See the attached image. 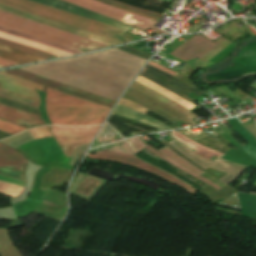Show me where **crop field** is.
<instances>
[{"label":"crop field","mask_w":256,"mask_h":256,"mask_svg":"<svg viewBox=\"0 0 256 256\" xmlns=\"http://www.w3.org/2000/svg\"><path fill=\"white\" fill-rule=\"evenodd\" d=\"M45 110L51 124H101L110 108L47 88Z\"/></svg>","instance_id":"1"},{"label":"crop field","mask_w":256,"mask_h":256,"mask_svg":"<svg viewBox=\"0 0 256 256\" xmlns=\"http://www.w3.org/2000/svg\"><path fill=\"white\" fill-rule=\"evenodd\" d=\"M0 3L22 11L38 15L46 19L77 27L120 43L132 40L122 36L124 31L103 24H99L84 18H80L74 15H70L64 12H60L48 7H44L26 0H0Z\"/></svg>","instance_id":"2"},{"label":"crop field","mask_w":256,"mask_h":256,"mask_svg":"<svg viewBox=\"0 0 256 256\" xmlns=\"http://www.w3.org/2000/svg\"><path fill=\"white\" fill-rule=\"evenodd\" d=\"M0 26L10 28L32 36H36L51 42L66 45L83 52L109 47L95 41L79 37L64 31H60L48 26H44L35 22L24 20L1 11Z\"/></svg>","instance_id":"3"},{"label":"crop field","mask_w":256,"mask_h":256,"mask_svg":"<svg viewBox=\"0 0 256 256\" xmlns=\"http://www.w3.org/2000/svg\"><path fill=\"white\" fill-rule=\"evenodd\" d=\"M231 43L232 42L222 37L213 43L201 36L195 35L179 45L169 54L184 61L198 57L207 62Z\"/></svg>","instance_id":"4"},{"label":"crop field","mask_w":256,"mask_h":256,"mask_svg":"<svg viewBox=\"0 0 256 256\" xmlns=\"http://www.w3.org/2000/svg\"><path fill=\"white\" fill-rule=\"evenodd\" d=\"M64 1L75 4L85 9L92 10L94 12L100 13L102 15L108 16L110 18L116 19L118 21H121L123 23L129 24L131 26H134L143 30L152 28L163 34H167L166 32L153 28V26L157 23V21L120 10L94 0H64Z\"/></svg>","instance_id":"5"},{"label":"crop field","mask_w":256,"mask_h":256,"mask_svg":"<svg viewBox=\"0 0 256 256\" xmlns=\"http://www.w3.org/2000/svg\"><path fill=\"white\" fill-rule=\"evenodd\" d=\"M100 126L59 127L52 126L53 136L66 155H72L74 149L81 144L90 143Z\"/></svg>","instance_id":"6"},{"label":"crop field","mask_w":256,"mask_h":256,"mask_svg":"<svg viewBox=\"0 0 256 256\" xmlns=\"http://www.w3.org/2000/svg\"><path fill=\"white\" fill-rule=\"evenodd\" d=\"M166 134L173 139L172 141L169 142V144H171L174 148H176L180 153H182L187 158L191 159L192 161H194L195 163H197L198 165L202 166L205 169L210 167V168L227 173L226 175L218 179L226 185H228L234 179H236L246 167L245 165H239V164H234V163L224 161L215 156L210 161H208L196 155L195 153L191 152L190 150H188L180 142H178L174 137H172L168 132H166Z\"/></svg>","instance_id":"7"},{"label":"crop field","mask_w":256,"mask_h":256,"mask_svg":"<svg viewBox=\"0 0 256 256\" xmlns=\"http://www.w3.org/2000/svg\"><path fill=\"white\" fill-rule=\"evenodd\" d=\"M2 72L42 84V85H44V89H43L44 92L46 90V87H48V88H51V89H54V90H57L60 92H64V93H67V94H70V95H73V96H76V97H79V98H82V99H85V100H88V101H91L94 103H98V104L110 107V108H112V106L114 104V101H111V100H108V99H105L102 97H98V96H95V95H92V94H89V93H86L83 91H79V90H76L69 86H66V85L33 75V74H30V73H27V72H24V71H21L18 69L6 70V71H2Z\"/></svg>","instance_id":"8"},{"label":"crop field","mask_w":256,"mask_h":256,"mask_svg":"<svg viewBox=\"0 0 256 256\" xmlns=\"http://www.w3.org/2000/svg\"><path fill=\"white\" fill-rule=\"evenodd\" d=\"M123 98L130 100L134 103H137V104L165 117L166 119H168L174 123L181 120L190 126L196 125L192 121L188 120L187 118L183 117L182 115L178 114L177 112L173 111L172 109L168 108L167 106L163 105L162 103L156 101L155 99L149 97L148 95L142 93L141 91H139L131 86L128 89V91L125 93Z\"/></svg>","instance_id":"9"},{"label":"crop field","mask_w":256,"mask_h":256,"mask_svg":"<svg viewBox=\"0 0 256 256\" xmlns=\"http://www.w3.org/2000/svg\"><path fill=\"white\" fill-rule=\"evenodd\" d=\"M28 160L16 151L0 144V175L25 182Z\"/></svg>","instance_id":"10"},{"label":"crop field","mask_w":256,"mask_h":256,"mask_svg":"<svg viewBox=\"0 0 256 256\" xmlns=\"http://www.w3.org/2000/svg\"><path fill=\"white\" fill-rule=\"evenodd\" d=\"M89 157L91 158H98V159H105V160H110V161H115V162H120V163H124V164H129L132 166H136V167H140L146 171H149L155 175H158L180 187H182L183 189H185L187 192H189L190 194H195V190H193L191 187H189L187 184H185L184 182L176 179L175 177H173L172 175L159 170L155 167H152L140 160H138L135 156H127V155H116V154H91L89 155ZM139 168V169H140Z\"/></svg>","instance_id":"11"},{"label":"crop field","mask_w":256,"mask_h":256,"mask_svg":"<svg viewBox=\"0 0 256 256\" xmlns=\"http://www.w3.org/2000/svg\"><path fill=\"white\" fill-rule=\"evenodd\" d=\"M0 10L4 11V12H7L9 14L24 18V19L35 21V22H38V23H41V24H45V25H48V26H51V27H54V28H57V29H61V30L79 35V36H83V37L95 40V41L100 42V43L105 44V45L112 46V45L120 44V43L114 42L112 40L94 35L92 33H89V32H86V31H83V30H80V29H76V28H73V27H70V26H66V25H63V24H60V23H56V22H53V21H50V20H46V19L37 17L35 15L25 13V12H21V11L12 9L10 7H7V6L1 5V4H0Z\"/></svg>","instance_id":"12"},{"label":"crop field","mask_w":256,"mask_h":256,"mask_svg":"<svg viewBox=\"0 0 256 256\" xmlns=\"http://www.w3.org/2000/svg\"><path fill=\"white\" fill-rule=\"evenodd\" d=\"M32 1H34L36 3H41L46 6H50L52 8H56V9H59L62 11H66V12L72 13L74 15H79V16H83L85 18H90V19L105 23L109 26H112V27H115V28H118L121 30L128 31L131 28V26L108 19V18L101 16L97 13L79 8L77 6L68 4V3L60 1V0H32Z\"/></svg>","instance_id":"13"},{"label":"crop field","mask_w":256,"mask_h":256,"mask_svg":"<svg viewBox=\"0 0 256 256\" xmlns=\"http://www.w3.org/2000/svg\"><path fill=\"white\" fill-rule=\"evenodd\" d=\"M33 88L42 91L43 86L0 72V89L40 101L38 93Z\"/></svg>","instance_id":"14"},{"label":"crop field","mask_w":256,"mask_h":256,"mask_svg":"<svg viewBox=\"0 0 256 256\" xmlns=\"http://www.w3.org/2000/svg\"><path fill=\"white\" fill-rule=\"evenodd\" d=\"M145 148H147L148 150H150L151 152H153L154 154H156L157 156H159L160 158H162L163 160H165L169 164H171V165L189 173L190 175L194 176L195 178L212 185L213 187H215L218 190L222 189L219 186H217L215 183H213L212 181L200 176L199 174L202 173L203 171L197 169L196 167L192 166L191 164H189V163L185 162L184 160L180 159L177 155H175L166 146L163 147L159 151L154 149L153 147H151L149 145H147Z\"/></svg>","instance_id":"15"},{"label":"crop field","mask_w":256,"mask_h":256,"mask_svg":"<svg viewBox=\"0 0 256 256\" xmlns=\"http://www.w3.org/2000/svg\"><path fill=\"white\" fill-rule=\"evenodd\" d=\"M0 119L15 123L27 128L40 126V125H49L42 117L35 116L23 111L16 109L8 108L0 105Z\"/></svg>","instance_id":"16"},{"label":"crop field","mask_w":256,"mask_h":256,"mask_svg":"<svg viewBox=\"0 0 256 256\" xmlns=\"http://www.w3.org/2000/svg\"><path fill=\"white\" fill-rule=\"evenodd\" d=\"M131 86L147 93L151 97L157 99L158 101L162 102L163 104L167 105L168 107L172 108L173 110L177 111L178 113L182 114L183 116L187 117L190 120L197 117L194 114H192L191 112H189L188 110L184 109L183 107H181L180 105L175 103L174 101L168 99L167 97L153 91L152 89H150L136 81H134Z\"/></svg>","instance_id":"17"},{"label":"crop field","mask_w":256,"mask_h":256,"mask_svg":"<svg viewBox=\"0 0 256 256\" xmlns=\"http://www.w3.org/2000/svg\"><path fill=\"white\" fill-rule=\"evenodd\" d=\"M113 113L121 115V116L129 117V118H132L134 120L141 121L143 123H146L148 125H151L153 127L161 129V130L171 129L170 127H168L167 125H165L161 122H158V121H156V120H154L150 117L144 116V115H142L138 112H135L133 110H130V109H128L126 107H123L121 105H118V104H117L116 108L114 109Z\"/></svg>","instance_id":"18"},{"label":"crop field","mask_w":256,"mask_h":256,"mask_svg":"<svg viewBox=\"0 0 256 256\" xmlns=\"http://www.w3.org/2000/svg\"><path fill=\"white\" fill-rule=\"evenodd\" d=\"M171 135H173L177 140H179L183 145H185L188 149L192 150L193 152L207 158V159H211L213 157V155L221 158L223 156V154L217 153L213 150H210L204 146H201L189 139H187L186 137H184L182 134L174 131V132H169Z\"/></svg>","instance_id":"19"},{"label":"crop field","mask_w":256,"mask_h":256,"mask_svg":"<svg viewBox=\"0 0 256 256\" xmlns=\"http://www.w3.org/2000/svg\"><path fill=\"white\" fill-rule=\"evenodd\" d=\"M136 81H138V82H140V83H142V84H145V85H147L148 87L152 88L153 90H155V91H157V92H159V93H161V94H163V95H165V96H167V97L173 99V100L176 101L178 104H180L181 106H183V107L189 109L190 111L195 108L194 105L190 104V103L187 102L186 100H184V99H182V98H180V97L174 95L173 93H171V92L165 90L164 88H162V87H160V86H158V85H156V84H154V83H152V82H150V81H148V80H146V79H144V78H142V77H140V76L137 77Z\"/></svg>","instance_id":"20"},{"label":"crop field","mask_w":256,"mask_h":256,"mask_svg":"<svg viewBox=\"0 0 256 256\" xmlns=\"http://www.w3.org/2000/svg\"><path fill=\"white\" fill-rule=\"evenodd\" d=\"M0 37L11 40V41H15V42H18V43H21V44H24V45H28V46H31V47H34V48H37L39 50L57 55L59 57L72 55L70 53H66V52H63V51H60V50H56V49H53V48H50V47H47V46H44V45H41V44H38V43H34V42H31V41H28V40H25V39H22V38H18V37H14V36H11V35H7V34H4V33H0Z\"/></svg>","instance_id":"21"},{"label":"crop field","mask_w":256,"mask_h":256,"mask_svg":"<svg viewBox=\"0 0 256 256\" xmlns=\"http://www.w3.org/2000/svg\"><path fill=\"white\" fill-rule=\"evenodd\" d=\"M1 256H21L18 248L14 249L7 230H0Z\"/></svg>","instance_id":"22"},{"label":"crop field","mask_w":256,"mask_h":256,"mask_svg":"<svg viewBox=\"0 0 256 256\" xmlns=\"http://www.w3.org/2000/svg\"><path fill=\"white\" fill-rule=\"evenodd\" d=\"M0 32L20 36V37H23V38H26V39H29V40H32V41H35V42L53 47V48H57V49H60V50L66 51V52L73 53V54L82 53L80 51H77V50L69 48V47H65V46H61V45L54 44V43H51V42H47V41H44L42 39L32 37V36H29V35H26V34H22V33H19V32L13 31V30H9V29L3 28V27H0Z\"/></svg>","instance_id":"23"},{"label":"crop field","mask_w":256,"mask_h":256,"mask_svg":"<svg viewBox=\"0 0 256 256\" xmlns=\"http://www.w3.org/2000/svg\"><path fill=\"white\" fill-rule=\"evenodd\" d=\"M0 43L4 44V45L11 46V47H14V48H17L19 50L25 51L27 53H30V54H33V55H36V56H39V57H42V58H45V59L57 58L54 55L39 51L37 49L31 48V47H28V46H24V45H21V44H18V43H14V42H11V41H8V40H5V39L0 38Z\"/></svg>","instance_id":"24"},{"label":"crop field","mask_w":256,"mask_h":256,"mask_svg":"<svg viewBox=\"0 0 256 256\" xmlns=\"http://www.w3.org/2000/svg\"><path fill=\"white\" fill-rule=\"evenodd\" d=\"M33 139H34V137L31 135L29 130H27L25 132L15 135V136L1 140L0 142L5 143L6 145H8L12 148H15V147H18L28 141L33 140Z\"/></svg>","instance_id":"25"},{"label":"crop field","mask_w":256,"mask_h":256,"mask_svg":"<svg viewBox=\"0 0 256 256\" xmlns=\"http://www.w3.org/2000/svg\"><path fill=\"white\" fill-rule=\"evenodd\" d=\"M145 68H147V69H149V70H151V71H153V72H155V73H157V74H159V75L169 79L170 81H172V82H174V83L184 87L185 89H187L190 92H193V93H195V94H197L199 96L202 95V92L196 90L197 88L195 89V88L189 86L188 84H186V83H184V82H182V81H180V80H178V79H176V78H174V77H172V76H170V75H168V74H166V73H164V72H162V71H160V70H158V69H156L154 67H151V66L147 65Z\"/></svg>","instance_id":"26"},{"label":"crop field","mask_w":256,"mask_h":256,"mask_svg":"<svg viewBox=\"0 0 256 256\" xmlns=\"http://www.w3.org/2000/svg\"><path fill=\"white\" fill-rule=\"evenodd\" d=\"M24 190L23 186L7 183L0 181V193L10 195V196H18Z\"/></svg>","instance_id":"27"},{"label":"crop field","mask_w":256,"mask_h":256,"mask_svg":"<svg viewBox=\"0 0 256 256\" xmlns=\"http://www.w3.org/2000/svg\"><path fill=\"white\" fill-rule=\"evenodd\" d=\"M0 97L7 98V99H10V100H14V101L24 103V104H27V105L35 106V107H38V108H39V105H40L39 101L32 100V99H29V98H26V97H23V96L11 94V93H8V92L2 91V90H0Z\"/></svg>","instance_id":"28"},{"label":"crop field","mask_w":256,"mask_h":256,"mask_svg":"<svg viewBox=\"0 0 256 256\" xmlns=\"http://www.w3.org/2000/svg\"><path fill=\"white\" fill-rule=\"evenodd\" d=\"M0 104L5 105V106H9V107H12V108H16V109H19V110H23V111H26V112H29V113H32V114L40 115V111H39L38 108H34V107H31V106H27V105H24V104L13 102V101H10V100H7V99L0 98Z\"/></svg>","instance_id":"29"},{"label":"crop field","mask_w":256,"mask_h":256,"mask_svg":"<svg viewBox=\"0 0 256 256\" xmlns=\"http://www.w3.org/2000/svg\"><path fill=\"white\" fill-rule=\"evenodd\" d=\"M0 130L15 135L19 132L27 130L21 126L14 125L5 121L0 120Z\"/></svg>","instance_id":"30"},{"label":"crop field","mask_w":256,"mask_h":256,"mask_svg":"<svg viewBox=\"0 0 256 256\" xmlns=\"http://www.w3.org/2000/svg\"><path fill=\"white\" fill-rule=\"evenodd\" d=\"M140 76H142V77H144V78H146V79H148V80H150V81H152V82H154V83H156V84H158V85H160V86H162V87H164V88L170 90V91L173 92L174 94H176V95H178V96H180V97L186 99L187 101H189V102H191L192 104L195 105L196 101H194V100L188 98L187 96H185V95L179 93L178 91H176V90H174L173 88L167 86L166 84H164V83H162V82H160V81H158V80H156V79H154V78H152V77H150V76H148V75H146V74H144V73H142V72H141Z\"/></svg>","instance_id":"31"},{"label":"crop field","mask_w":256,"mask_h":256,"mask_svg":"<svg viewBox=\"0 0 256 256\" xmlns=\"http://www.w3.org/2000/svg\"><path fill=\"white\" fill-rule=\"evenodd\" d=\"M97 153H117V154H128L132 155L131 151L129 150L128 146L126 145L125 141L119 143L112 149L104 150Z\"/></svg>","instance_id":"32"},{"label":"crop field","mask_w":256,"mask_h":256,"mask_svg":"<svg viewBox=\"0 0 256 256\" xmlns=\"http://www.w3.org/2000/svg\"><path fill=\"white\" fill-rule=\"evenodd\" d=\"M143 72H145V73L149 74L150 76H152V77H154V78H156V79L166 83L167 85L173 87L174 89L178 90L179 92H181V93H183L185 95L190 93L187 90H185L184 88H182V87H180V86H178V85H176V84H174V83H172V82H170V81H168V80H166V79H164V78L154 74L153 72H151V71H149V70H147L145 68H144Z\"/></svg>","instance_id":"33"},{"label":"crop field","mask_w":256,"mask_h":256,"mask_svg":"<svg viewBox=\"0 0 256 256\" xmlns=\"http://www.w3.org/2000/svg\"><path fill=\"white\" fill-rule=\"evenodd\" d=\"M127 142L129 144L133 154L140 151L141 149H143L146 146L140 137L127 139Z\"/></svg>","instance_id":"34"},{"label":"crop field","mask_w":256,"mask_h":256,"mask_svg":"<svg viewBox=\"0 0 256 256\" xmlns=\"http://www.w3.org/2000/svg\"><path fill=\"white\" fill-rule=\"evenodd\" d=\"M30 132L33 134L35 139L51 136V134H50V126L30 129Z\"/></svg>","instance_id":"35"},{"label":"crop field","mask_w":256,"mask_h":256,"mask_svg":"<svg viewBox=\"0 0 256 256\" xmlns=\"http://www.w3.org/2000/svg\"><path fill=\"white\" fill-rule=\"evenodd\" d=\"M88 146H89V144L82 145V146L78 147L77 149H75L69 164L75 166V164L78 162V160L82 156L83 152L87 150Z\"/></svg>","instance_id":"36"},{"label":"crop field","mask_w":256,"mask_h":256,"mask_svg":"<svg viewBox=\"0 0 256 256\" xmlns=\"http://www.w3.org/2000/svg\"><path fill=\"white\" fill-rule=\"evenodd\" d=\"M106 1H109L111 3H114V4H117L119 6L125 7L127 9L134 10V11H137V12H141V13H144V14L152 15V16H155V17L160 16V14H156V13H153V12H150V11H146V10H143V9H140V8H136V7H133V6H130V5H127V4H124V3H120V2H117V1H114V0H106Z\"/></svg>","instance_id":"37"},{"label":"crop field","mask_w":256,"mask_h":256,"mask_svg":"<svg viewBox=\"0 0 256 256\" xmlns=\"http://www.w3.org/2000/svg\"><path fill=\"white\" fill-rule=\"evenodd\" d=\"M117 48H119L125 52H128L130 54L136 55L138 57L144 58L146 60H148L149 57L151 56V54H148V53H145V52H142V51H139V50L127 47V46H121V47H117Z\"/></svg>","instance_id":"38"},{"label":"crop field","mask_w":256,"mask_h":256,"mask_svg":"<svg viewBox=\"0 0 256 256\" xmlns=\"http://www.w3.org/2000/svg\"><path fill=\"white\" fill-rule=\"evenodd\" d=\"M119 104H121L123 106H126L128 108H131L133 110H136V111H138V112H140L142 114H144L147 111V109H145L143 107H140V106H138V105H136L134 103H131V102H129V101L123 99V98H121V100L119 101Z\"/></svg>","instance_id":"39"},{"label":"crop field","mask_w":256,"mask_h":256,"mask_svg":"<svg viewBox=\"0 0 256 256\" xmlns=\"http://www.w3.org/2000/svg\"><path fill=\"white\" fill-rule=\"evenodd\" d=\"M97 1H100V2H102V3H105V4H108V5H111V6H114V7H117V8L126 10V11H129V12H132V13H135V14H138V15H141V16H145V17H148V18H151V19H154V20L159 21V19H157V18L150 17V16H147V15H144V14H140V13H137V12H134V11H130V10H127V9H125V8L119 7V6H117V5L111 4V3L106 2V1H103V0H97Z\"/></svg>","instance_id":"40"},{"label":"crop field","mask_w":256,"mask_h":256,"mask_svg":"<svg viewBox=\"0 0 256 256\" xmlns=\"http://www.w3.org/2000/svg\"><path fill=\"white\" fill-rule=\"evenodd\" d=\"M149 65L154 66V67H156V68H159V69H161V70H163V71H165V72H167V73H169V74H171V75H173V76L177 75V73H175V72H173V71H171V70H168V69H166V68H163V67L157 65L156 63H154V62H152V61H150Z\"/></svg>","instance_id":"41"},{"label":"crop field","mask_w":256,"mask_h":256,"mask_svg":"<svg viewBox=\"0 0 256 256\" xmlns=\"http://www.w3.org/2000/svg\"><path fill=\"white\" fill-rule=\"evenodd\" d=\"M0 65H2L4 67H7V66H11V65H16V64L11 63V62L6 61V60H3V59H0Z\"/></svg>","instance_id":"42"},{"label":"crop field","mask_w":256,"mask_h":256,"mask_svg":"<svg viewBox=\"0 0 256 256\" xmlns=\"http://www.w3.org/2000/svg\"><path fill=\"white\" fill-rule=\"evenodd\" d=\"M0 68H2V66H0Z\"/></svg>","instance_id":"43"},{"label":"crop field","mask_w":256,"mask_h":256,"mask_svg":"<svg viewBox=\"0 0 256 256\" xmlns=\"http://www.w3.org/2000/svg\"><path fill=\"white\" fill-rule=\"evenodd\" d=\"M256 126V125H255Z\"/></svg>","instance_id":"44"}]
</instances>
